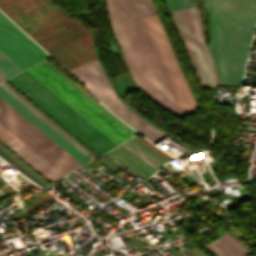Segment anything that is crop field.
Listing matches in <instances>:
<instances>
[{"label":"crop field","instance_id":"obj_1","mask_svg":"<svg viewBox=\"0 0 256 256\" xmlns=\"http://www.w3.org/2000/svg\"><path fill=\"white\" fill-rule=\"evenodd\" d=\"M0 9L67 70L97 59L91 32L50 0H0ZM69 72L118 117L154 144L168 135L122 103L98 60Z\"/></svg>","mask_w":256,"mask_h":256},{"label":"crop field","instance_id":"obj_2","mask_svg":"<svg viewBox=\"0 0 256 256\" xmlns=\"http://www.w3.org/2000/svg\"><path fill=\"white\" fill-rule=\"evenodd\" d=\"M164 2L202 87L239 85L256 22V0H203L211 30L206 45L200 15L193 2Z\"/></svg>","mask_w":256,"mask_h":256},{"label":"crop field","instance_id":"obj_3","mask_svg":"<svg viewBox=\"0 0 256 256\" xmlns=\"http://www.w3.org/2000/svg\"><path fill=\"white\" fill-rule=\"evenodd\" d=\"M106 6L114 38L136 84L158 104L179 116L198 107L162 25L153 13L156 11L151 0H106ZM137 15H141L138 17L183 114Z\"/></svg>","mask_w":256,"mask_h":256},{"label":"crop field","instance_id":"obj_4","mask_svg":"<svg viewBox=\"0 0 256 256\" xmlns=\"http://www.w3.org/2000/svg\"><path fill=\"white\" fill-rule=\"evenodd\" d=\"M8 81L99 155L117 146L26 70Z\"/></svg>","mask_w":256,"mask_h":256},{"label":"crop field","instance_id":"obj_5","mask_svg":"<svg viewBox=\"0 0 256 256\" xmlns=\"http://www.w3.org/2000/svg\"><path fill=\"white\" fill-rule=\"evenodd\" d=\"M26 70L117 145L133 136L43 61Z\"/></svg>","mask_w":256,"mask_h":256},{"label":"crop field","instance_id":"obj_6","mask_svg":"<svg viewBox=\"0 0 256 256\" xmlns=\"http://www.w3.org/2000/svg\"><path fill=\"white\" fill-rule=\"evenodd\" d=\"M0 123L62 174L80 164L1 99Z\"/></svg>","mask_w":256,"mask_h":256},{"label":"crop field","instance_id":"obj_7","mask_svg":"<svg viewBox=\"0 0 256 256\" xmlns=\"http://www.w3.org/2000/svg\"><path fill=\"white\" fill-rule=\"evenodd\" d=\"M0 50L22 70L48 57L0 12Z\"/></svg>","mask_w":256,"mask_h":256},{"label":"crop field","instance_id":"obj_8","mask_svg":"<svg viewBox=\"0 0 256 256\" xmlns=\"http://www.w3.org/2000/svg\"><path fill=\"white\" fill-rule=\"evenodd\" d=\"M0 97L9 105L16 109L20 114L27 118L31 123L43 131L47 136L54 140L58 145L65 149L69 154L76 158L83 165L86 164L87 159L80 149L73 145L69 140L62 136L58 131L51 127L47 122L40 118L36 113L29 109L25 104L18 100L14 95L7 91L0 85Z\"/></svg>","mask_w":256,"mask_h":256},{"label":"crop field","instance_id":"obj_9","mask_svg":"<svg viewBox=\"0 0 256 256\" xmlns=\"http://www.w3.org/2000/svg\"><path fill=\"white\" fill-rule=\"evenodd\" d=\"M14 138L16 137L0 125V142L4 144ZM4 145L12 150L16 155H18L51 183L63 177V175L56 171L52 166H50L17 138Z\"/></svg>","mask_w":256,"mask_h":256},{"label":"crop field","instance_id":"obj_10","mask_svg":"<svg viewBox=\"0 0 256 256\" xmlns=\"http://www.w3.org/2000/svg\"><path fill=\"white\" fill-rule=\"evenodd\" d=\"M203 246L213 252L216 256H242L249 252L227 233L218 237L215 242Z\"/></svg>","mask_w":256,"mask_h":256},{"label":"crop field","instance_id":"obj_11","mask_svg":"<svg viewBox=\"0 0 256 256\" xmlns=\"http://www.w3.org/2000/svg\"><path fill=\"white\" fill-rule=\"evenodd\" d=\"M20 71L22 70L0 51V82Z\"/></svg>","mask_w":256,"mask_h":256},{"label":"crop field","instance_id":"obj_12","mask_svg":"<svg viewBox=\"0 0 256 256\" xmlns=\"http://www.w3.org/2000/svg\"><path fill=\"white\" fill-rule=\"evenodd\" d=\"M0 149L3 152H5L9 157H11L14 161H16L20 166H22L25 170H27L31 175H33L36 179H38L42 184H44L45 186L49 185L46 181H44L40 176H38L34 171H32L28 166H26L22 161H20L16 156H14L1 144H0Z\"/></svg>","mask_w":256,"mask_h":256},{"label":"crop field","instance_id":"obj_13","mask_svg":"<svg viewBox=\"0 0 256 256\" xmlns=\"http://www.w3.org/2000/svg\"><path fill=\"white\" fill-rule=\"evenodd\" d=\"M7 90H9L12 94H14L18 99H20L23 103H25L29 108H31L34 112H36L40 117H42L45 121H47L51 126H53L56 130H58L62 135H64L67 139H69L73 144H75L78 148H80L84 153L89 155L84 149H82L78 144H76L73 140H71L68 136H66L62 131H60L57 127H55L52 123H50L46 118H44L40 113H38L35 109H33L29 104H27L23 99H21L18 95H16L12 90H10L6 85L1 83Z\"/></svg>","mask_w":256,"mask_h":256},{"label":"crop field","instance_id":"obj_14","mask_svg":"<svg viewBox=\"0 0 256 256\" xmlns=\"http://www.w3.org/2000/svg\"><path fill=\"white\" fill-rule=\"evenodd\" d=\"M122 145H124L126 148H128L130 151H132L134 154H136L138 157H140L142 160H144L146 163H148L154 169L157 170L160 167L156 163H154L152 160H150L148 157H146L141 152H139L137 149H135L133 146H131L129 143L126 142Z\"/></svg>","mask_w":256,"mask_h":256},{"label":"crop field","instance_id":"obj_15","mask_svg":"<svg viewBox=\"0 0 256 256\" xmlns=\"http://www.w3.org/2000/svg\"><path fill=\"white\" fill-rule=\"evenodd\" d=\"M6 84L5 82H3ZM10 89H12L15 93H17L21 98H23L26 102H28L32 107H34L37 111H39L43 116H45L48 120H50L54 125H56L59 129H61L65 134H67L70 138H72L76 143H78L81 147H83L90 154L92 153L86 147H84L81 143H79L75 138H73L70 134H68L65 130H63L60 126H58L55 122H53L50 118H48L44 113H42L39 109H37L34 105H32L29 101H27L24 97H22L18 92H16L13 88H11L8 84H6Z\"/></svg>","mask_w":256,"mask_h":256},{"label":"crop field","instance_id":"obj_16","mask_svg":"<svg viewBox=\"0 0 256 256\" xmlns=\"http://www.w3.org/2000/svg\"><path fill=\"white\" fill-rule=\"evenodd\" d=\"M131 140H133L135 143H137L139 146H141L142 148H144L146 151H148L150 154H152L153 156H155L157 159H159L161 162H166L167 160H165L163 157H161L159 154H157L156 152H154L152 149H150L148 146H146L145 144H143L141 141H139L137 138H132Z\"/></svg>","mask_w":256,"mask_h":256},{"label":"crop field","instance_id":"obj_17","mask_svg":"<svg viewBox=\"0 0 256 256\" xmlns=\"http://www.w3.org/2000/svg\"><path fill=\"white\" fill-rule=\"evenodd\" d=\"M136 137V136H135ZM139 140H141L143 143H145L146 145H148L150 148H152L154 151H156L157 153H159L161 156H163L165 159H170L167 154H165L164 152H162L161 150H159L158 148H156L155 146H153L152 144H150L148 141H146L143 138H138Z\"/></svg>","mask_w":256,"mask_h":256}]
</instances>
